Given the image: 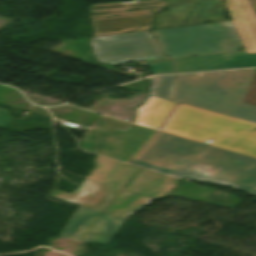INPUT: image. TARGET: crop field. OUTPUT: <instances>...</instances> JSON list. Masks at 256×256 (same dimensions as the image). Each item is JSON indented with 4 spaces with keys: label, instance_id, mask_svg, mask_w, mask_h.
Masks as SVG:
<instances>
[{
    "label": "crop field",
    "instance_id": "crop-field-1",
    "mask_svg": "<svg viewBox=\"0 0 256 256\" xmlns=\"http://www.w3.org/2000/svg\"><path fill=\"white\" fill-rule=\"evenodd\" d=\"M168 175L233 185L256 195V159L159 131L130 162Z\"/></svg>",
    "mask_w": 256,
    "mask_h": 256
},
{
    "label": "crop field",
    "instance_id": "crop-field-2",
    "mask_svg": "<svg viewBox=\"0 0 256 256\" xmlns=\"http://www.w3.org/2000/svg\"><path fill=\"white\" fill-rule=\"evenodd\" d=\"M255 71L178 75L171 100L256 122V107L243 104Z\"/></svg>",
    "mask_w": 256,
    "mask_h": 256
},
{
    "label": "crop field",
    "instance_id": "crop-field-3",
    "mask_svg": "<svg viewBox=\"0 0 256 256\" xmlns=\"http://www.w3.org/2000/svg\"><path fill=\"white\" fill-rule=\"evenodd\" d=\"M160 130L256 158V123L179 103Z\"/></svg>",
    "mask_w": 256,
    "mask_h": 256
},
{
    "label": "crop field",
    "instance_id": "crop-field-4",
    "mask_svg": "<svg viewBox=\"0 0 256 256\" xmlns=\"http://www.w3.org/2000/svg\"><path fill=\"white\" fill-rule=\"evenodd\" d=\"M164 53L174 59L242 49L231 22L152 31Z\"/></svg>",
    "mask_w": 256,
    "mask_h": 256
},
{
    "label": "crop field",
    "instance_id": "crop-field-5",
    "mask_svg": "<svg viewBox=\"0 0 256 256\" xmlns=\"http://www.w3.org/2000/svg\"><path fill=\"white\" fill-rule=\"evenodd\" d=\"M93 54L100 62L124 64L167 60L149 31L92 38Z\"/></svg>",
    "mask_w": 256,
    "mask_h": 256
},
{
    "label": "crop field",
    "instance_id": "crop-field-6",
    "mask_svg": "<svg viewBox=\"0 0 256 256\" xmlns=\"http://www.w3.org/2000/svg\"><path fill=\"white\" fill-rule=\"evenodd\" d=\"M157 130L126 123L112 135L88 129L83 150L127 162Z\"/></svg>",
    "mask_w": 256,
    "mask_h": 256
},
{
    "label": "crop field",
    "instance_id": "crop-field-7",
    "mask_svg": "<svg viewBox=\"0 0 256 256\" xmlns=\"http://www.w3.org/2000/svg\"><path fill=\"white\" fill-rule=\"evenodd\" d=\"M162 2L160 0H135L134 2H124V3H111V4H101V5H93L91 8H100V7H117V6H126V7H117V8H100V9H91L90 8V16L92 20V26L94 28L93 36L98 35H108V34H118L129 31H140L149 29L152 26V16L158 11L162 10L165 7V3L158 5H144L149 3H157ZM135 5L136 7H130ZM160 7V8H155ZM146 8H155V9H146ZM138 9H146V10H138ZM129 10H138V11H129ZM120 11L121 13H116ZM129 11V12H124ZM149 11H156L150 13ZM111 12V14L106 15H97L92 16V14L97 13H106ZM119 15L116 17H111ZM99 17L100 19H94ZM142 27V29L135 30V28ZM121 29L118 31H113ZM113 31V32H110Z\"/></svg>",
    "mask_w": 256,
    "mask_h": 256
},
{
    "label": "crop field",
    "instance_id": "crop-field-8",
    "mask_svg": "<svg viewBox=\"0 0 256 256\" xmlns=\"http://www.w3.org/2000/svg\"><path fill=\"white\" fill-rule=\"evenodd\" d=\"M167 8L170 11L164 10L155 17L153 29L227 21L221 0H167ZM187 16L190 18L184 23Z\"/></svg>",
    "mask_w": 256,
    "mask_h": 256
},
{
    "label": "crop field",
    "instance_id": "crop-field-9",
    "mask_svg": "<svg viewBox=\"0 0 256 256\" xmlns=\"http://www.w3.org/2000/svg\"><path fill=\"white\" fill-rule=\"evenodd\" d=\"M175 61L177 64V73L256 67V54L245 55L244 51H234L200 57L181 58Z\"/></svg>",
    "mask_w": 256,
    "mask_h": 256
},
{
    "label": "crop field",
    "instance_id": "crop-field-10",
    "mask_svg": "<svg viewBox=\"0 0 256 256\" xmlns=\"http://www.w3.org/2000/svg\"><path fill=\"white\" fill-rule=\"evenodd\" d=\"M120 190L86 179L75 192L55 190L51 197L101 211Z\"/></svg>",
    "mask_w": 256,
    "mask_h": 256
},
{
    "label": "crop field",
    "instance_id": "crop-field-11",
    "mask_svg": "<svg viewBox=\"0 0 256 256\" xmlns=\"http://www.w3.org/2000/svg\"><path fill=\"white\" fill-rule=\"evenodd\" d=\"M225 4L246 54L256 53V17L249 1L225 0Z\"/></svg>",
    "mask_w": 256,
    "mask_h": 256
},
{
    "label": "crop field",
    "instance_id": "crop-field-12",
    "mask_svg": "<svg viewBox=\"0 0 256 256\" xmlns=\"http://www.w3.org/2000/svg\"><path fill=\"white\" fill-rule=\"evenodd\" d=\"M178 182L179 179L141 169L124 190L152 199H163L168 197Z\"/></svg>",
    "mask_w": 256,
    "mask_h": 256
},
{
    "label": "crop field",
    "instance_id": "crop-field-13",
    "mask_svg": "<svg viewBox=\"0 0 256 256\" xmlns=\"http://www.w3.org/2000/svg\"><path fill=\"white\" fill-rule=\"evenodd\" d=\"M138 168L103 157H96L95 168L88 179L123 188Z\"/></svg>",
    "mask_w": 256,
    "mask_h": 256
},
{
    "label": "crop field",
    "instance_id": "crop-field-14",
    "mask_svg": "<svg viewBox=\"0 0 256 256\" xmlns=\"http://www.w3.org/2000/svg\"><path fill=\"white\" fill-rule=\"evenodd\" d=\"M176 105L172 101L149 96L144 105L136 110L133 124L159 130Z\"/></svg>",
    "mask_w": 256,
    "mask_h": 256
},
{
    "label": "crop field",
    "instance_id": "crop-field-15",
    "mask_svg": "<svg viewBox=\"0 0 256 256\" xmlns=\"http://www.w3.org/2000/svg\"><path fill=\"white\" fill-rule=\"evenodd\" d=\"M151 201L152 199L122 190L106 208L104 213L126 218L137 209L147 205Z\"/></svg>",
    "mask_w": 256,
    "mask_h": 256
},
{
    "label": "crop field",
    "instance_id": "crop-field-16",
    "mask_svg": "<svg viewBox=\"0 0 256 256\" xmlns=\"http://www.w3.org/2000/svg\"><path fill=\"white\" fill-rule=\"evenodd\" d=\"M100 212L79 206L61 235L81 240Z\"/></svg>",
    "mask_w": 256,
    "mask_h": 256
},
{
    "label": "crop field",
    "instance_id": "crop-field-17",
    "mask_svg": "<svg viewBox=\"0 0 256 256\" xmlns=\"http://www.w3.org/2000/svg\"><path fill=\"white\" fill-rule=\"evenodd\" d=\"M123 221L124 218L102 213L89 232L103 235H114L122 225Z\"/></svg>",
    "mask_w": 256,
    "mask_h": 256
},
{
    "label": "crop field",
    "instance_id": "crop-field-18",
    "mask_svg": "<svg viewBox=\"0 0 256 256\" xmlns=\"http://www.w3.org/2000/svg\"><path fill=\"white\" fill-rule=\"evenodd\" d=\"M174 76L154 77L150 95L168 99Z\"/></svg>",
    "mask_w": 256,
    "mask_h": 256
},
{
    "label": "crop field",
    "instance_id": "crop-field-19",
    "mask_svg": "<svg viewBox=\"0 0 256 256\" xmlns=\"http://www.w3.org/2000/svg\"><path fill=\"white\" fill-rule=\"evenodd\" d=\"M124 123L126 122L100 116L90 125V128L112 134L117 128H119Z\"/></svg>",
    "mask_w": 256,
    "mask_h": 256
},
{
    "label": "crop field",
    "instance_id": "crop-field-20",
    "mask_svg": "<svg viewBox=\"0 0 256 256\" xmlns=\"http://www.w3.org/2000/svg\"><path fill=\"white\" fill-rule=\"evenodd\" d=\"M147 65H148L152 75L175 73L173 60L151 62V63H147Z\"/></svg>",
    "mask_w": 256,
    "mask_h": 256
},
{
    "label": "crop field",
    "instance_id": "crop-field-21",
    "mask_svg": "<svg viewBox=\"0 0 256 256\" xmlns=\"http://www.w3.org/2000/svg\"><path fill=\"white\" fill-rule=\"evenodd\" d=\"M112 237L100 236L86 233L83 242L106 244Z\"/></svg>",
    "mask_w": 256,
    "mask_h": 256
},
{
    "label": "crop field",
    "instance_id": "crop-field-22",
    "mask_svg": "<svg viewBox=\"0 0 256 256\" xmlns=\"http://www.w3.org/2000/svg\"><path fill=\"white\" fill-rule=\"evenodd\" d=\"M244 103L256 106V75L247 93Z\"/></svg>",
    "mask_w": 256,
    "mask_h": 256
},
{
    "label": "crop field",
    "instance_id": "crop-field-23",
    "mask_svg": "<svg viewBox=\"0 0 256 256\" xmlns=\"http://www.w3.org/2000/svg\"><path fill=\"white\" fill-rule=\"evenodd\" d=\"M11 120L8 111L0 109V127L4 128Z\"/></svg>",
    "mask_w": 256,
    "mask_h": 256
},
{
    "label": "crop field",
    "instance_id": "crop-field-24",
    "mask_svg": "<svg viewBox=\"0 0 256 256\" xmlns=\"http://www.w3.org/2000/svg\"><path fill=\"white\" fill-rule=\"evenodd\" d=\"M249 1H250V4H251V6L254 10L255 15H256V0H249Z\"/></svg>",
    "mask_w": 256,
    "mask_h": 256
}]
</instances>
